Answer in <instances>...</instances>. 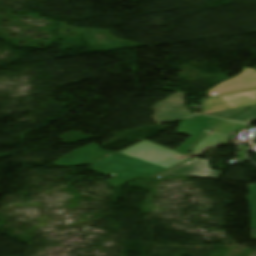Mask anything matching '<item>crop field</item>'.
Returning a JSON list of instances; mask_svg holds the SVG:
<instances>
[{
	"mask_svg": "<svg viewBox=\"0 0 256 256\" xmlns=\"http://www.w3.org/2000/svg\"><path fill=\"white\" fill-rule=\"evenodd\" d=\"M253 240H256V229H252L251 231Z\"/></svg>",
	"mask_w": 256,
	"mask_h": 256,
	"instance_id": "7",
	"label": "crop field"
},
{
	"mask_svg": "<svg viewBox=\"0 0 256 256\" xmlns=\"http://www.w3.org/2000/svg\"><path fill=\"white\" fill-rule=\"evenodd\" d=\"M251 194L248 196L252 211V228H256V185H249Z\"/></svg>",
	"mask_w": 256,
	"mask_h": 256,
	"instance_id": "5",
	"label": "crop field"
},
{
	"mask_svg": "<svg viewBox=\"0 0 256 256\" xmlns=\"http://www.w3.org/2000/svg\"><path fill=\"white\" fill-rule=\"evenodd\" d=\"M256 70L244 68L243 73L237 77L223 82L209 90V96H217L249 88H256Z\"/></svg>",
	"mask_w": 256,
	"mask_h": 256,
	"instance_id": "3",
	"label": "crop field"
},
{
	"mask_svg": "<svg viewBox=\"0 0 256 256\" xmlns=\"http://www.w3.org/2000/svg\"><path fill=\"white\" fill-rule=\"evenodd\" d=\"M154 115L158 124L179 121L200 116L199 112L191 114L184 104V94L176 93L154 106Z\"/></svg>",
	"mask_w": 256,
	"mask_h": 256,
	"instance_id": "1",
	"label": "crop field"
},
{
	"mask_svg": "<svg viewBox=\"0 0 256 256\" xmlns=\"http://www.w3.org/2000/svg\"><path fill=\"white\" fill-rule=\"evenodd\" d=\"M228 120L249 124V123L256 120V106L251 107L246 112H244V113H242V114H240V115H238L234 118L228 119Z\"/></svg>",
	"mask_w": 256,
	"mask_h": 256,
	"instance_id": "4",
	"label": "crop field"
},
{
	"mask_svg": "<svg viewBox=\"0 0 256 256\" xmlns=\"http://www.w3.org/2000/svg\"><path fill=\"white\" fill-rule=\"evenodd\" d=\"M251 256H256V253L251 254Z\"/></svg>",
	"mask_w": 256,
	"mask_h": 256,
	"instance_id": "8",
	"label": "crop field"
},
{
	"mask_svg": "<svg viewBox=\"0 0 256 256\" xmlns=\"http://www.w3.org/2000/svg\"><path fill=\"white\" fill-rule=\"evenodd\" d=\"M246 108H248V107H246ZM246 108L233 109V110H228V111H223V112H218V113H213V114H208V115L226 119V118H229L233 115L240 113L241 111H243Z\"/></svg>",
	"mask_w": 256,
	"mask_h": 256,
	"instance_id": "6",
	"label": "crop field"
},
{
	"mask_svg": "<svg viewBox=\"0 0 256 256\" xmlns=\"http://www.w3.org/2000/svg\"><path fill=\"white\" fill-rule=\"evenodd\" d=\"M256 104V89L204 100V114Z\"/></svg>",
	"mask_w": 256,
	"mask_h": 256,
	"instance_id": "2",
	"label": "crop field"
}]
</instances>
